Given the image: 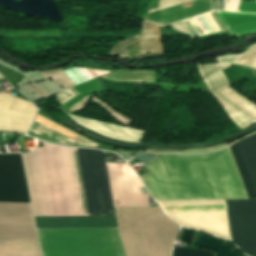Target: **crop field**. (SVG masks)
Wrapping results in <instances>:
<instances>
[{
    "label": "crop field",
    "mask_w": 256,
    "mask_h": 256,
    "mask_svg": "<svg viewBox=\"0 0 256 256\" xmlns=\"http://www.w3.org/2000/svg\"><path fill=\"white\" fill-rule=\"evenodd\" d=\"M41 144L42 148H37L35 153L47 216H58V214L59 216H76V213L77 216L114 215L103 152L84 149L95 208L94 214L84 151L66 147L76 207L75 213L65 147L45 143L58 208L57 214L45 144L43 141ZM35 153L34 151L22 153V156L34 215L41 217L46 214Z\"/></svg>",
    "instance_id": "obj_1"
},
{
    "label": "crop field",
    "mask_w": 256,
    "mask_h": 256,
    "mask_svg": "<svg viewBox=\"0 0 256 256\" xmlns=\"http://www.w3.org/2000/svg\"><path fill=\"white\" fill-rule=\"evenodd\" d=\"M141 179L155 200L245 199L230 149L196 156L160 155Z\"/></svg>",
    "instance_id": "obj_2"
},
{
    "label": "crop field",
    "mask_w": 256,
    "mask_h": 256,
    "mask_svg": "<svg viewBox=\"0 0 256 256\" xmlns=\"http://www.w3.org/2000/svg\"><path fill=\"white\" fill-rule=\"evenodd\" d=\"M114 210L125 256H170L180 228L159 207Z\"/></svg>",
    "instance_id": "obj_3"
},
{
    "label": "crop field",
    "mask_w": 256,
    "mask_h": 256,
    "mask_svg": "<svg viewBox=\"0 0 256 256\" xmlns=\"http://www.w3.org/2000/svg\"><path fill=\"white\" fill-rule=\"evenodd\" d=\"M0 184L26 185L20 154L0 155ZM0 201L30 202L26 186L0 185ZM0 202V240L38 241L30 203Z\"/></svg>",
    "instance_id": "obj_4"
},
{
    "label": "crop field",
    "mask_w": 256,
    "mask_h": 256,
    "mask_svg": "<svg viewBox=\"0 0 256 256\" xmlns=\"http://www.w3.org/2000/svg\"><path fill=\"white\" fill-rule=\"evenodd\" d=\"M43 256H124L117 228L37 229Z\"/></svg>",
    "instance_id": "obj_5"
},
{
    "label": "crop field",
    "mask_w": 256,
    "mask_h": 256,
    "mask_svg": "<svg viewBox=\"0 0 256 256\" xmlns=\"http://www.w3.org/2000/svg\"><path fill=\"white\" fill-rule=\"evenodd\" d=\"M256 189V134L239 141ZM232 242L238 249L256 256V200L226 201Z\"/></svg>",
    "instance_id": "obj_6"
},
{
    "label": "crop field",
    "mask_w": 256,
    "mask_h": 256,
    "mask_svg": "<svg viewBox=\"0 0 256 256\" xmlns=\"http://www.w3.org/2000/svg\"><path fill=\"white\" fill-rule=\"evenodd\" d=\"M114 206H150L148 195H142V182L127 163H107Z\"/></svg>",
    "instance_id": "obj_7"
},
{
    "label": "crop field",
    "mask_w": 256,
    "mask_h": 256,
    "mask_svg": "<svg viewBox=\"0 0 256 256\" xmlns=\"http://www.w3.org/2000/svg\"><path fill=\"white\" fill-rule=\"evenodd\" d=\"M164 27V26H163ZM162 26L144 22L142 36L130 37L119 42L110 52V55H118L129 59H139L148 55L164 54V48L160 36ZM145 51L150 54L146 55Z\"/></svg>",
    "instance_id": "obj_8"
},
{
    "label": "crop field",
    "mask_w": 256,
    "mask_h": 256,
    "mask_svg": "<svg viewBox=\"0 0 256 256\" xmlns=\"http://www.w3.org/2000/svg\"><path fill=\"white\" fill-rule=\"evenodd\" d=\"M35 112L32 103L0 94V131L25 133Z\"/></svg>",
    "instance_id": "obj_9"
},
{
    "label": "crop field",
    "mask_w": 256,
    "mask_h": 256,
    "mask_svg": "<svg viewBox=\"0 0 256 256\" xmlns=\"http://www.w3.org/2000/svg\"><path fill=\"white\" fill-rule=\"evenodd\" d=\"M206 71V74L208 76L209 82L211 84L212 90L214 92V94H216L218 97H220L221 99H223L224 101H226L228 104H230L231 106H233L235 109H237L238 111H240L242 114H244L245 116H247L248 118H250L252 121L256 122V120L254 118H252L249 114H247L246 112H244L242 109H240L239 107H237L236 105H234L232 102H230L229 100H227L226 98H224L223 96H221L220 94L217 93V91L229 86L227 79L223 73V71L221 70V68L219 67V65H203ZM202 65H198V69H199V74L202 78V80L205 82V84L207 85L208 89L210 90V92L213 94L210 84L208 82L207 76L205 74L204 68ZM213 94V95H214ZM216 95H214V97L216 98V100L219 102V104L223 107V109L225 110V112L227 113V115L229 116V118L241 129L252 125L254 122H252L250 119H248L247 117H245L244 115H242L240 112H238L237 110H235L233 107H231L230 105H228L226 102H224L223 100H221L220 98H218Z\"/></svg>",
    "instance_id": "obj_10"
},
{
    "label": "crop field",
    "mask_w": 256,
    "mask_h": 256,
    "mask_svg": "<svg viewBox=\"0 0 256 256\" xmlns=\"http://www.w3.org/2000/svg\"><path fill=\"white\" fill-rule=\"evenodd\" d=\"M166 214L182 226L204 231L230 241L225 211Z\"/></svg>",
    "instance_id": "obj_11"
},
{
    "label": "crop field",
    "mask_w": 256,
    "mask_h": 256,
    "mask_svg": "<svg viewBox=\"0 0 256 256\" xmlns=\"http://www.w3.org/2000/svg\"><path fill=\"white\" fill-rule=\"evenodd\" d=\"M63 112L66 113L71 119H73L79 125L97 134L111 138L113 140L139 143L144 134L143 131L129 129L123 126L108 124V123L95 121V120H91L83 117H77L65 111Z\"/></svg>",
    "instance_id": "obj_12"
},
{
    "label": "crop field",
    "mask_w": 256,
    "mask_h": 256,
    "mask_svg": "<svg viewBox=\"0 0 256 256\" xmlns=\"http://www.w3.org/2000/svg\"><path fill=\"white\" fill-rule=\"evenodd\" d=\"M37 228L116 227L114 216L35 218Z\"/></svg>",
    "instance_id": "obj_13"
},
{
    "label": "crop field",
    "mask_w": 256,
    "mask_h": 256,
    "mask_svg": "<svg viewBox=\"0 0 256 256\" xmlns=\"http://www.w3.org/2000/svg\"><path fill=\"white\" fill-rule=\"evenodd\" d=\"M191 5L192 6L185 8L184 4H182L149 13L146 20H151L159 24H169L171 22L211 10V3L206 0H197L191 2Z\"/></svg>",
    "instance_id": "obj_14"
},
{
    "label": "crop field",
    "mask_w": 256,
    "mask_h": 256,
    "mask_svg": "<svg viewBox=\"0 0 256 256\" xmlns=\"http://www.w3.org/2000/svg\"><path fill=\"white\" fill-rule=\"evenodd\" d=\"M35 120L38 121V122H41L43 124H46L48 126H51L53 128H56L58 130H61L63 132H66V133H68L70 135H73L75 137H78L80 139H83L85 141H88L90 143H93L95 145H98V144H96V143L86 139L85 137H83V136H81L79 134H75V133H72V132L66 130L65 128L59 126L58 124H56V123L46 119L45 117H43V116H41L39 114L37 115ZM36 121L34 122L32 128H31V131H33V132H36L38 134H41L43 136H46L48 138H51V139L56 140L58 142H61L63 144L95 147V145H93V144H90L88 142H85L83 140H80L78 138L70 136L68 134H65V133H63L61 131H58L56 129H53L51 127H48V126L43 125L41 123H38Z\"/></svg>",
    "instance_id": "obj_15"
},
{
    "label": "crop field",
    "mask_w": 256,
    "mask_h": 256,
    "mask_svg": "<svg viewBox=\"0 0 256 256\" xmlns=\"http://www.w3.org/2000/svg\"><path fill=\"white\" fill-rule=\"evenodd\" d=\"M164 212L225 210L224 200L157 201Z\"/></svg>",
    "instance_id": "obj_16"
},
{
    "label": "crop field",
    "mask_w": 256,
    "mask_h": 256,
    "mask_svg": "<svg viewBox=\"0 0 256 256\" xmlns=\"http://www.w3.org/2000/svg\"><path fill=\"white\" fill-rule=\"evenodd\" d=\"M231 35L256 32V15L217 12Z\"/></svg>",
    "instance_id": "obj_17"
},
{
    "label": "crop field",
    "mask_w": 256,
    "mask_h": 256,
    "mask_svg": "<svg viewBox=\"0 0 256 256\" xmlns=\"http://www.w3.org/2000/svg\"><path fill=\"white\" fill-rule=\"evenodd\" d=\"M211 13L215 17L220 28L224 30L225 28L219 22L215 12H211ZM212 15L209 13L203 16L181 21L180 23L184 27V29L187 31V33L190 35L191 38L199 35L212 33L214 31H221Z\"/></svg>",
    "instance_id": "obj_18"
},
{
    "label": "crop field",
    "mask_w": 256,
    "mask_h": 256,
    "mask_svg": "<svg viewBox=\"0 0 256 256\" xmlns=\"http://www.w3.org/2000/svg\"><path fill=\"white\" fill-rule=\"evenodd\" d=\"M0 256H42L38 242L0 241Z\"/></svg>",
    "instance_id": "obj_19"
},
{
    "label": "crop field",
    "mask_w": 256,
    "mask_h": 256,
    "mask_svg": "<svg viewBox=\"0 0 256 256\" xmlns=\"http://www.w3.org/2000/svg\"><path fill=\"white\" fill-rule=\"evenodd\" d=\"M73 89L79 94V95H77V96H75V97H73L72 99H70L69 101H67L65 104H63L62 106H60V108H63V109H66L67 107H69L70 105H72L73 103H75L76 101H78L79 99H81L82 97H84V96H86V95H89V94H92V93H95V92H97V91H99V90H101V88H100V86H99V84H98V82H97V80H96V78L95 79H93V80H91V81H88V82H86V83H84V84H81V85H78V86H76V87H73ZM90 96V95H89ZM87 98L88 97H85L84 99H82L80 102H76L75 104H73V105H75V106H70L69 108H71V109H69V108H67V110L69 109V111H71V112H74V111H76V110H78V109H80V108H82L83 106H84V104H85V102H86V100H87Z\"/></svg>",
    "instance_id": "obj_20"
},
{
    "label": "crop field",
    "mask_w": 256,
    "mask_h": 256,
    "mask_svg": "<svg viewBox=\"0 0 256 256\" xmlns=\"http://www.w3.org/2000/svg\"><path fill=\"white\" fill-rule=\"evenodd\" d=\"M216 59L222 69L232 63L256 68V44L251 45L249 49L243 54L227 55L217 57Z\"/></svg>",
    "instance_id": "obj_21"
},
{
    "label": "crop field",
    "mask_w": 256,
    "mask_h": 256,
    "mask_svg": "<svg viewBox=\"0 0 256 256\" xmlns=\"http://www.w3.org/2000/svg\"><path fill=\"white\" fill-rule=\"evenodd\" d=\"M100 77L109 80L154 81V70H113Z\"/></svg>",
    "instance_id": "obj_22"
},
{
    "label": "crop field",
    "mask_w": 256,
    "mask_h": 256,
    "mask_svg": "<svg viewBox=\"0 0 256 256\" xmlns=\"http://www.w3.org/2000/svg\"><path fill=\"white\" fill-rule=\"evenodd\" d=\"M230 148H231V151L233 153L235 162L237 164V167H238L239 173L241 175L242 181L244 183V186H245L246 192L248 194V197L249 198H256V192H255L254 186L252 184L250 175L248 173L247 167L245 165V162H244L243 156L241 154L240 148L238 146V143H235L234 145H231Z\"/></svg>",
    "instance_id": "obj_23"
},
{
    "label": "crop field",
    "mask_w": 256,
    "mask_h": 256,
    "mask_svg": "<svg viewBox=\"0 0 256 256\" xmlns=\"http://www.w3.org/2000/svg\"><path fill=\"white\" fill-rule=\"evenodd\" d=\"M219 93H221L227 99L235 103L237 106L245 110L247 113H249L256 119V106L252 104L250 101H248L246 98L239 95L229 87L220 91Z\"/></svg>",
    "instance_id": "obj_24"
},
{
    "label": "crop field",
    "mask_w": 256,
    "mask_h": 256,
    "mask_svg": "<svg viewBox=\"0 0 256 256\" xmlns=\"http://www.w3.org/2000/svg\"><path fill=\"white\" fill-rule=\"evenodd\" d=\"M86 70L90 73V75L93 78L109 73L106 71H97V70H89V69H86ZM86 70L78 69V68H70L64 71L69 76V78L74 82V84L77 85L81 82L87 81L92 78Z\"/></svg>",
    "instance_id": "obj_25"
},
{
    "label": "crop field",
    "mask_w": 256,
    "mask_h": 256,
    "mask_svg": "<svg viewBox=\"0 0 256 256\" xmlns=\"http://www.w3.org/2000/svg\"><path fill=\"white\" fill-rule=\"evenodd\" d=\"M41 75L44 77L45 80L51 78L66 88L74 86L72 81L65 75L62 69L42 72Z\"/></svg>",
    "instance_id": "obj_26"
},
{
    "label": "crop field",
    "mask_w": 256,
    "mask_h": 256,
    "mask_svg": "<svg viewBox=\"0 0 256 256\" xmlns=\"http://www.w3.org/2000/svg\"><path fill=\"white\" fill-rule=\"evenodd\" d=\"M173 256H211V253L199 249L174 248Z\"/></svg>",
    "instance_id": "obj_27"
},
{
    "label": "crop field",
    "mask_w": 256,
    "mask_h": 256,
    "mask_svg": "<svg viewBox=\"0 0 256 256\" xmlns=\"http://www.w3.org/2000/svg\"><path fill=\"white\" fill-rule=\"evenodd\" d=\"M228 0H226L227 4ZM240 0H230L226 10L236 11ZM225 0H213V9H223L224 10ZM225 4V6H226Z\"/></svg>",
    "instance_id": "obj_28"
},
{
    "label": "crop field",
    "mask_w": 256,
    "mask_h": 256,
    "mask_svg": "<svg viewBox=\"0 0 256 256\" xmlns=\"http://www.w3.org/2000/svg\"><path fill=\"white\" fill-rule=\"evenodd\" d=\"M188 1H190V0H158L159 7L150 9L149 12L164 9V8L171 7V6L178 5V4H182V3H185Z\"/></svg>",
    "instance_id": "obj_29"
},
{
    "label": "crop field",
    "mask_w": 256,
    "mask_h": 256,
    "mask_svg": "<svg viewBox=\"0 0 256 256\" xmlns=\"http://www.w3.org/2000/svg\"><path fill=\"white\" fill-rule=\"evenodd\" d=\"M237 11L256 13V3L242 1Z\"/></svg>",
    "instance_id": "obj_30"
},
{
    "label": "crop field",
    "mask_w": 256,
    "mask_h": 256,
    "mask_svg": "<svg viewBox=\"0 0 256 256\" xmlns=\"http://www.w3.org/2000/svg\"><path fill=\"white\" fill-rule=\"evenodd\" d=\"M223 147H225V145L220 146V147L206 149V150H195V151H154V150H147V151H151V152H170V153H202V152H207V151H211V150L221 149Z\"/></svg>",
    "instance_id": "obj_31"
},
{
    "label": "crop field",
    "mask_w": 256,
    "mask_h": 256,
    "mask_svg": "<svg viewBox=\"0 0 256 256\" xmlns=\"http://www.w3.org/2000/svg\"><path fill=\"white\" fill-rule=\"evenodd\" d=\"M26 86L29 87L32 91H34L36 94H38L42 98L49 96L43 90H41L38 86H36L34 83Z\"/></svg>",
    "instance_id": "obj_32"
},
{
    "label": "crop field",
    "mask_w": 256,
    "mask_h": 256,
    "mask_svg": "<svg viewBox=\"0 0 256 256\" xmlns=\"http://www.w3.org/2000/svg\"><path fill=\"white\" fill-rule=\"evenodd\" d=\"M156 156L152 155H136L133 158L141 160L144 164L150 161L151 159L155 158Z\"/></svg>",
    "instance_id": "obj_33"
},
{
    "label": "crop field",
    "mask_w": 256,
    "mask_h": 256,
    "mask_svg": "<svg viewBox=\"0 0 256 256\" xmlns=\"http://www.w3.org/2000/svg\"><path fill=\"white\" fill-rule=\"evenodd\" d=\"M71 94H72V92L69 89H67L63 92H60V93L56 94V99H57V101H60V100L66 98L67 96H69Z\"/></svg>",
    "instance_id": "obj_34"
},
{
    "label": "crop field",
    "mask_w": 256,
    "mask_h": 256,
    "mask_svg": "<svg viewBox=\"0 0 256 256\" xmlns=\"http://www.w3.org/2000/svg\"><path fill=\"white\" fill-rule=\"evenodd\" d=\"M171 27L173 28V30L175 31H179V32H183L186 33V31L183 29V27L180 25L179 22L171 24Z\"/></svg>",
    "instance_id": "obj_35"
},
{
    "label": "crop field",
    "mask_w": 256,
    "mask_h": 256,
    "mask_svg": "<svg viewBox=\"0 0 256 256\" xmlns=\"http://www.w3.org/2000/svg\"><path fill=\"white\" fill-rule=\"evenodd\" d=\"M0 78H4L1 73H0Z\"/></svg>",
    "instance_id": "obj_36"
},
{
    "label": "crop field",
    "mask_w": 256,
    "mask_h": 256,
    "mask_svg": "<svg viewBox=\"0 0 256 256\" xmlns=\"http://www.w3.org/2000/svg\"><path fill=\"white\" fill-rule=\"evenodd\" d=\"M96 101V100H95ZM99 103V102H98ZM104 106V105H103ZM107 108V107H106ZM110 110V109H109ZM112 111V110H111Z\"/></svg>",
    "instance_id": "obj_37"
},
{
    "label": "crop field",
    "mask_w": 256,
    "mask_h": 256,
    "mask_svg": "<svg viewBox=\"0 0 256 256\" xmlns=\"http://www.w3.org/2000/svg\"><path fill=\"white\" fill-rule=\"evenodd\" d=\"M256 1V0H255Z\"/></svg>",
    "instance_id": "obj_38"
}]
</instances>
